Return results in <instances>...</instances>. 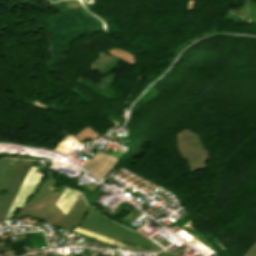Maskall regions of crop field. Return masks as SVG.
<instances>
[{
  "mask_svg": "<svg viewBox=\"0 0 256 256\" xmlns=\"http://www.w3.org/2000/svg\"><path fill=\"white\" fill-rule=\"evenodd\" d=\"M36 168L30 167L6 217H10L15 206L25 203L27 196L30 194L34 186L37 184L41 175L34 173Z\"/></svg>",
  "mask_w": 256,
  "mask_h": 256,
  "instance_id": "crop-field-1",
  "label": "crop field"
},
{
  "mask_svg": "<svg viewBox=\"0 0 256 256\" xmlns=\"http://www.w3.org/2000/svg\"><path fill=\"white\" fill-rule=\"evenodd\" d=\"M78 194L79 193L66 188L63 194L60 196L56 205L63 211L65 215L71 208Z\"/></svg>",
  "mask_w": 256,
  "mask_h": 256,
  "instance_id": "crop-field-2",
  "label": "crop field"
},
{
  "mask_svg": "<svg viewBox=\"0 0 256 256\" xmlns=\"http://www.w3.org/2000/svg\"><path fill=\"white\" fill-rule=\"evenodd\" d=\"M73 231H76V232H78V233L87 235V236H89V237H92V238L101 240V241L106 242V243H109V244H111L112 241H113L112 239H109V238H107V237L101 236V235H99V234L93 233V232L88 231V230L76 228V229H74ZM112 244H113V245H116V246H118V247L124 248V249H127V247H128L127 245H124V244H121V243H118V242H115V241H113Z\"/></svg>",
  "mask_w": 256,
  "mask_h": 256,
  "instance_id": "crop-field-3",
  "label": "crop field"
}]
</instances>
